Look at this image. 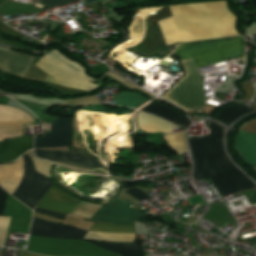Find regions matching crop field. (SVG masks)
Here are the masks:
<instances>
[{"instance_id": "ae1a2a85", "label": "crop field", "mask_w": 256, "mask_h": 256, "mask_svg": "<svg viewBox=\"0 0 256 256\" xmlns=\"http://www.w3.org/2000/svg\"><path fill=\"white\" fill-rule=\"evenodd\" d=\"M129 194L134 196L137 200L142 201L143 199L147 198L145 194L142 193V191L134 188V189H128L126 190Z\"/></svg>"}, {"instance_id": "bd1437ed", "label": "crop field", "mask_w": 256, "mask_h": 256, "mask_svg": "<svg viewBox=\"0 0 256 256\" xmlns=\"http://www.w3.org/2000/svg\"><path fill=\"white\" fill-rule=\"evenodd\" d=\"M34 211L36 212H40V213H44V214H48V215H52V216H56V217H59V218H65L66 215L64 214H59V213H54V212H49V211H44V210H40V209H34Z\"/></svg>"}, {"instance_id": "5a996713", "label": "crop field", "mask_w": 256, "mask_h": 256, "mask_svg": "<svg viewBox=\"0 0 256 256\" xmlns=\"http://www.w3.org/2000/svg\"><path fill=\"white\" fill-rule=\"evenodd\" d=\"M132 203L120 199L112 198L108 207L104 208L80 202L70 214L85 217L91 220L109 222L114 224H134L133 221L139 222L138 216L142 215L126 206Z\"/></svg>"}, {"instance_id": "92a150f3", "label": "crop field", "mask_w": 256, "mask_h": 256, "mask_svg": "<svg viewBox=\"0 0 256 256\" xmlns=\"http://www.w3.org/2000/svg\"><path fill=\"white\" fill-rule=\"evenodd\" d=\"M146 100L138 94L121 91L113 104L136 108Z\"/></svg>"}, {"instance_id": "8a807250", "label": "crop field", "mask_w": 256, "mask_h": 256, "mask_svg": "<svg viewBox=\"0 0 256 256\" xmlns=\"http://www.w3.org/2000/svg\"><path fill=\"white\" fill-rule=\"evenodd\" d=\"M176 55L180 60L192 57L199 68L243 56L244 40L232 37L179 44ZM192 58L181 61L186 75L161 96L184 111L205 107L203 84Z\"/></svg>"}, {"instance_id": "5142ce71", "label": "crop field", "mask_w": 256, "mask_h": 256, "mask_svg": "<svg viewBox=\"0 0 256 256\" xmlns=\"http://www.w3.org/2000/svg\"><path fill=\"white\" fill-rule=\"evenodd\" d=\"M234 143L237 153L247 165L256 164V135L240 130Z\"/></svg>"}, {"instance_id": "d9b57169", "label": "crop field", "mask_w": 256, "mask_h": 256, "mask_svg": "<svg viewBox=\"0 0 256 256\" xmlns=\"http://www.w3.org/2000/svg\"><path fill=\"white\" fill-rule=\"evenodd\" d=\"M23 172L22 158L12 165H0V186L12 195L23 176Z\"/></svg>"}, {"instance_id": "cbeb9de0", "label": "crop field", "mask_w": 256, "mask_h": 256, "mask_svg": "<svg viewBox=\"0 0 256 256\" xmlns=\"http://www.w3.org/2000/svg\"><path fill=\"white\" fill-rule=\"evenodd\" d=\"M34 59L0 51V71L25 78Z\"/></svg>"}, {"instance_id": "750c4746", "label": "crop field", "mask_w": 256, "mask_h": 256, "mask_svg": "<svg viewBox=\"0 0 256 256\" xmlns=\"http://www.w3.org/2000/svg\"><path fill=\"white\" fill-rule=\"evenodd\" d=\"M6 196H7V193L3 191L0 187V216H2L3 214Z\"/></svg>"}, {"instance_id": "4177f3b9", "label": "crop field", "mask_w": 256, "mask_h": 256, "mask_svg": "<svg viewBox=\"0 0 256 256\" xmlns=\"http://www.w3.org/2000/svg\"><path fill=\"white\" fill-rule=\"evenodd\" d=\"M73 1H76V0H38L39 3L49 8L60 6Z\"/></svg>"}, {"instance_id": "ac0d7876", "label": "crop field", "mask_w": 256, "mask_h": 256, "mask_svg": "<svg viewBox=\"0 0 256 256\" xmlns=\"http://www.w3.org/2000/svg\"><path fill=\"white\" fill-rule=\"evenodd\" d=\"M170 7L173 16L158 22L167 44L239 34L226 0Z\"/></svg>"}, {"instance_id": "733c2abd", "label": "crop field", "mask_w": 256, "mask_h": 256, "mask_svg": "<svg viewBox=\"0 0 256 256\" xmlns=\"http://www.w3.org/2000/svg\"><path fill=\"white\" fill-rule=\"evenodd\" d=\"M138 127L146 132H164L169 133L173 130L175 125L161 120L160 118L145 113L137 114Z\"/></svg>"}, {"instance_id": "3316defc", "label": "crop field", "mask_w": 256, "mask_h": 256, "mask_svg": "<svg viewBox=\"0 0 256 256\" xmlns=\"http://www.w3.org/2000/svg\"><path fill=\"white\" fill-rule=\"evenodd\" d=\"M23 159L25 166L24 176L12 196L18 198L26 206L33 209L53 182L34 170V165L27 154L23 155Z\"/></svg>"}, {"instance_id": "d1516ede", "label": "crop field", "mask_w": 256, "mask_h": 256, "mask_svg": "<svg viewBox=\"0 0 256 256\" xmlns=\"http://www.w3.org/2000/svg\"><path fill=\"white\" fill-rule=\"evenodd\" d=\"M3 216L11 217L8 231L28 234L32 212L10 195L7 196Z\"/></svg>"}, {"instance_id": "28ad6ade", "label": "crop field", "mask_w": 256, "mask_h": 256, "mask_svg": "<svg viewBox=\"0 0 256 256\" xmlns=\"http://www.w3.org/2000/svg\"><path fill=\"white\" fill-rule=\"evenodd\" d=\"M86 233V230L60 225L33 217L30 235L82 240Z\"/></svg>"}, {"instance_id": "4a817a6b", "label": "crop field", "mask_w": 256, "mask_h": 256, "mask_svg": "<svg viewBox=\"0 0 256 256\" xmlns=\"http://www.w3.org/2000/svg\"><path fill=\"white\" fill-rule=\"evenodd\" d=\"M143 111L158 115L178 125H185L187 127L191 123L188 118L181 117L179 116V114L172 111L171 109L156 105L154 103L150 104Z\"/></svg>"}, {"instance_id": "a9b5d70f", "label": "crop field", "mask_w": 256, "mask_h": 256, "mask_svg": "<svg viewBox=\"0 0 256 256\" xmlns=\"http://www.w3.org/2000/svg\"><path fill=\"white\" fill-rule=\"evenodd\" d=\"M10 218L0 217V246H3Z\"/></svg>"}, {"instance_id": "dafd665d", "label": "crop field", "mask_w": 256, "mask_h": 256, "mask_svg": "<svg viewBox=\"0 0 256 256\" xmlns=\"http://www.w3.org/2000/svg\"><path fill=\"white\" fill-rule=\"evenodd\" d=\"M63 224L86 229V230H89V228L92 226V223L89 221H84L81 218H77L69 215H67Z\"/></svg>"}, {"instance_id": "22f410ed", "label": "crop field", "mask_w": 256, "mask_h": 256, "mask_svg": "<svg viewBox=\"0 0 256 256\" xmlns=\"http://www.w3.org/2000/svg\"><path fill=\"white\" fill-rule=\"evenodd\" d=\"M78 202L79 200L52 186L47 194L38 203L37 207L69 214V212L77 205Z\"/></svg>"}, {"instance_id": "412701ff", "label": "crop field", "mask_w": 256, "mask_h": 256, "mask_svg": "<svg viewBox=\"0 0 256 256\" xmlns=\"http://www.w3.org/2000/svg\"><path fill=\"white\" fill-rule=\"evenodd\" d=\"M49 125L51 134H47L46 137H36L35 148L70 146L72 119L58 118ZM35 155L89 169L103 167L70 147L39 148L35 149Z\"/></svg>"}, {"instance_id": "dd49c442", "label": "crop field", "mask_w": 256, "mask_h": 256, "mask_svg": "<svg viewBox=\"0 0 256 256\" xmlns=\"http://www.w3.org/2000/svg\"><path fill=\"white\" fill-rule=\"evenodd\" d=\"M36 66L81 92L93 86L89 81L92 79L86 75V69L57 50H49Z\"/></svg>"}, {"instance_id": "34b2d1b8", "label": "crop field", "mask_w": 256, "mask_h": 256, "mask_svg": "<svg viewBox=\"0 0 256 256\" xmlns=\"http://www.w3.org/2000/svg\"><path fill=\"white\" fill-rule=\"evenodd\" d=\"M205 125L210 136L188 139L195 162L194 178L210 177L220 195L256 188L226 156L223 149L225 127L211 120H206Z\"/></svg>"}, {"instance_id": "1d83c4d3", "label": "crop field", "mask_w": 256, "mask_h": 256, "mask_svg": "<svg viewBox=\"0 0 256 256\" xmlns=\"http://www.w3.org/2000/svg\"><path fill=\"white\" fill-rule=\"evenodd\" d=\"M130 187H134V184L132 181H127L124 188H130Z\"/></svg>"}, {"instance_id": "d3111659", "label": "crop field", "mask_w": 256, "mask_h": 256, "mask_svg": "<svg viewBox=\"0 0 256 256\" xmlns=\"http://www.w3.org/2000/svg\"><path fill=\"white\" fill-rule=\"evenodd\" d=\"M241 129L256 134V119L243 125Z\"/></svg>"}, {"instance_id": "730fd06b", "label": "crop field", "mask_w": 256, "mask_h": 256, "mask_svg": "<svg viewBox=\"0 0 256 256\" xmlns=\"http://www.w3.org/2000/svg\"><path fill=\"white\" fill-rule=\"evenodd\" d=\"M240 85H241L242 90L245 93V96H243L239 100H251L254 95V89H253L252 85L248 84V83H243Z\"/></svg>"}, {"instance_id": "bc2a9ffb", "label": "crop field", "mask_w": 256, "mask_h": 256, "mask_svg": "<svg viewBox=\"0 0 256 256\" xmlns=\"http://www.w3.org/2000/svg\"><path fill=\"white\" fill-rule=\"evenodd\" d=\"M256 110L253 107L241 105V104H232L227 107H225L219 114L218 118L228 121L232 123L235 119L253 111Z\"/></svg>"}, {"instance_id": "120bbe31", "label": "crop field", "mask_w": 256, "mask_h": 256, "mask_svg": "<svg viewBox=\"0 0 256 256\" xmlns=\"http://www.w3.org/2000/svg\"><path fill=\"white\" fill-rule=\"evenodd\" d=\"M104 0H85V5L90 4L91 2H102Z\"/></svg>"}, {"instance_id": "d32e631a", "label": "crop field", "mask_w": 256, "mask_h": 256, "mask_svg": "<svg viewBox=\"0 0 256 256\" xmlns=\"http://www.w3.org/2000/svg\"><path fill=\"white\" fill-rule=\"evenodd\" d=\"M20 256H39V255L29 254V255H20Z\"/></svg>"}, {"instance_id": "e52e79f7", "label": "crop field", "mask_w": 256, "mask_h": 256, "mask_svg": "<svg viewBox=\"0 0 256 256\" xmlns=\"http://www.w3.org/2000/svg\"><path fill=\"white\" fill-rule=\"evenodd\" d=\"M90 230L108 233H135L134 225L94 223ZM84 238L98 241L134 242L135 234H107L88 231ZM88 239L84 240L96 244L108 251L119 253L121 256H143V250L140 245L99 243Z\"/></svg>"}, {"instance_id": "214f88e0", "label": "crop field", "mask_w": 256, "mask_h": 256, "mask_svg": "<svg viewBox=\"0 0 256 256\" xmlns=\"http://www.w3.org/2000/svg\"><path fill=\"white\" fill-rule=\"evenodd\" d=\"M167 145L177 154L187 152L185 132L165 135L163 138Z\"/></svg>"}, {"instance_id": "5866460e", "label": "crop field", "mask_w": 256, "mask_h": 256, "mask_svg": "<svg viewBox=\"0 0 256 256\" xmlns=\"http://www.w3.org/2000/svg\"><path fill=\"white\" fill-rule=\"evenodd\" d=\"M253 101H256V97L254 98V100Z\"/></svg>"}, {"instance_id": "eef30255", "label": "crop field", "mask_w": 256, "mask_h": 256, "mask_svg": "<svg viewBox=\"0 0 256 256\" xmlns=\"http://www.w3.org/2000/svg\"><path fill=\"white\" fill-rule=\"evenodd\" d=\"M107 75L112 76L113 78L117 79L118 81L122 82L123 84H125L126 86H128V87H130V88H136V89H138V90H140V91H142V92H144V93H146V94H149V93H147L146 91H144V90H142V89L136 87L134 84H132V83H130V82H128V81H126V80H124V79L118 77L119 75L117 76V75H116L115 73H113V72H108ZM149 95L151 96V98L154 97V96L151 95V94H149Z\"/></svg>"}, {"instance_id": "d8731c3e", "label": "crop field", "mask_w": 256, "mask_h": 256, "mask_svg": "<svg viewBox=\"0 0 256 256\" xmlns=\"http://www.w3.org/2000/svg\"><path fill=\"white\" fill-rule=\"evenodd\" d=\"M27 251L51 256H114L86 241L56 240L29 236Z\"/></svg>"}, {"instance_id": "00972430", "label": "crop field", "mask_w": 256, "mask_h": 256, "mask_svg": "<svg viewBox=\"0 0 256 256\" xmlns=\"http://www.w3.org/2000/svg\"><path fill=\"white\" fill-rule=\"evenodd\" d=\"M34 165H35V170L39 173H41L42 175L50 178V174H49V169L51 167L52 164L46 162V161H42L39 160L37 158H32Z\"/></svg>"}, {"instance_id": "f4fd0767", "label": "crop field", "mask_w": 256, "mask_h": 256, "mask_svg": "<svg viewBox=\"0 0 256 256\" xmlns=\"http://www.w3.org/2000/svg\"><path fill=\"white\" fill-rule=\"evenodd\" d=\"M22 121H33L20 110L0 105V141L22 136ZM33 146V137L0 142V162L10 161Z\"/></svg>"}]
</instances>
